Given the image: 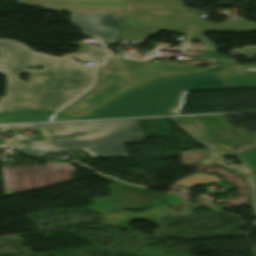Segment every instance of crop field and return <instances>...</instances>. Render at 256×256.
Returning <instances> with one entry per match:
<instances>
[{
  "label": "crop field",
  "mask_w": 256,
  "mask_h": 256,
  "mask_svg": "<svg viewBox=\"0 0 256 256\" xmlns=\"http://www.w3.org/2000/svg\"><path fill=\"white\" fill-rule=\"evenodd\" d=\"M76 54L52 57L33 52L24 44L10 39L0 40V74H6V96L0 98V113L23 110H57L89 88L93 82L94 67L76 63L78 60H97L110 53L84 43ZM22 64V66H19ZM26 64L36 69L27 70ZM45 66L42 70L37 67ZM31 73L29 82L18 79V73Z\"/></svg>",
  "instance_id": "1"
},
{
  "label": "crop field",
  "mask_w": 256,
  "mask_h": 256,
  "mask_svg": "<svg viewBox=\"0 0 256 256\" xmlns=\"http://www.w3.org/2000/svg\"><path fill=\"white\" fill-rule=\"evenodd\" d=\"M225 88L220 71L161 77L119 95L89 115L77 118L176 113L187 90Z\"/></svg>",
  "instance_id": "2"
},
{
  "label": "crop field",
  "mask_w": 256,
  "mask_h": 256,
  "mask_svg": "<svg viewBox=\"0 0 256 256\" xmlns=\"http://www.w3.org/2000/svg\"><path fill=\"white\" fill-rule=\"evenodd\" d=\"M4 127L40 128L46 139L40 142L58 151L69 149L86 151L92 155V158L127 155L124 144L144 142L135 119Z\"/></svg>",
  "instance_id": "3"
},
{
  "label": "crop field",
  "mask_w": 256,
  "mask_h": 256,
  "mask_svg": "<svg viewBox=\"0 0 256 256\" xmlns=\"http://www.w3.org/2000/svg\"><path fill=\"white\" fill-rule=\"evenodd\" d=\"M124 70V69H123ZM113 57L105 59L97 66V78L94 87L60 112L71 116L81 115L109 101L119 92L132 88L136 84L126 77L124 71Z\"/></svg>",
  "instance_id": "4"
},
{
  "label": "crop field",
  "mask_w": 256,
  "mask_h": 256,
  "mask_svg": "<svg viewBox=\"0 0 256 256\" xmlns=\"http://www.w3.org/2000/svg\"><path fill=\"white\" fill-rule=\"evenodd\" d=\"M70 19L81 28V31L98 37L107 44L117 41V35L125 28L124 17L117 15L72 14ZM87 24L93 29L87 27Z\"/></svg>",
  "instance_id": "5"
},
{
  "label": "crop field",
  "mask_w": 256,
  "mask_h": 256,
  "mask_svg": "<svg viewBox=\"0 0 256 256\" xmlns=\"http://www.w3.org/2000/svg\"><path fill=\"white\" fill-rule=\"evenodd\" d=\"M227 154L240 159L243 162V164L241 166H235L234 164L225 166L223 157ZM206 156H208V157L206 158V160L203 163H218V164H221V165L227 167L231 171L245 177L247 179L248 183H250L252 186V193H251L250 201H251V203H256L255 176H254L253 172L251 171V169L248 167V165L244 162V160L240 156L224 152L220 149L208 150V153Z\"/></svg>",
  "instance_id": "6"
},
{
  "label": "crop field",
  "mask_w": 256,
  "mask_h": 256,
  "mask_svg": "<svg viewBox=\"0 0 256 256\" xmlns=\"http://www.w3.org/2000/svg\"><path fill=\"white\" fill-rule=\"evenodd\" d=\"M226 88L256 87V69L223 70Z\"/></svg>",
  "instance_id": "7"
},
{
  "label": "crop field",
  "mask_w": 256,
  "mask_h": 256,
  "mask_svg": "<svg viewBox=\"0 0 256 256\" xmlns=\"http://www.w3.org/2000/svg\"><path fill=\"white\" fill-rule=\"evenodd\" d=\"M17 140L18 142L2 144L0 147L14 148L28 156H40L46 152L53 151L23 137L17 138Z\"/></svg>",
  "instance_id": "8"
},
{
  "label": "crop field",
  "mask_w": 256,
  "mask_h": 256,
  "mask_svg": "<svg viewBox=\"0 0 256 256\" xmlns=\"http://www.w3.org/2000/svg\"><path fill=\"white\" fill-rule=\"evenodd\" d=\"M53 113L41 111H24L12 113V123L50 121Z\"/></svg>",
  "instance_id": "9"
},
{
  "label": "crop field",
  "mask_w": 256,
  "mask_h": 256,
  "mask_svg": "<svg viewBox=\"0 0 256 256\" xmlns=\"http://www.w3.org/2000/svg\"><path fill=\"white\" fill-rule=\"evenodd\" d=\"M204 173L205 174H202V172H200L198 174L189 175L174 184L190 187L198 184L220 181L217 178L218 173H215L216 174L215 176L213 175L214 173H211V172H204ZM208 173H211V175H208Z\"/></svg>",
  "instance_id": "10"
},
{
  "label": "crop field",
  "mask_w": 256,
  "mask_h": 256,
  "mask_svg": "<svg viewBox=\"0 0 256 256\" xmlns=\"http://www.w3.org/2000/svg\"><path fill=\"white\" fill-rule=\"evenodd\" d=\"M173 121H175L179 126H181L184 130H186L194 139L199 141L206 148L208 149L215 148V146L209 140H207L200 132H198L192 125H190L183 118H173Z\"/></svg>",
  "instance_id": "11"
},
{
  "label": "crop field",
  "mask_w": 256,
  "mask_h": 256,
  "mask_svg": "<svg viewBox=\"0 0 256 256\" xmlns=\"http://www.w3.org/2000/svg\"><path fill=\"white\" fill-rule=\"evenodd\" d=\"M238 155H241L242 157H244V159L250 164V166L253 168V170L256 173V153L246 151Z\"/></svg>",
  "instance_id": "12"
},
{
  "label": "crop field",
  "mask_w": 256,
  "mask_h": 256,
  "mask_svg": "<svg viewBox=\"0 0 256 256\" xmlns=\"http://www.w3.org/2000/svg\"><path fill=\"white\" fill-rule=\"evenodd\" d=\"M63 120H74V118L64 114H60V113H57L53 118V121H63Z\"/></svg>",
  "instance_id": "13"
},
{
  "label": "crop field",
  "mask_w": 256,
  "mask_h": 256,
  "mask_svg": "<svg viewBox=\"0 0 256 256\" xmlns=\"http://www.w3.org/2000/svg\"><path fill=\"white\" fill-rule=\"evenodd\" d=\"M11 122V113L0 114V123Z\"/></svg>",
  "instance_id": "14"
},
{
  "label": "crop field",
  "mask_w": 256,
  "mask_h": 256,
  "mask_svg": "<svg viewBox=\"0 0 256 256\" xmlns=\"http://www.w3.org/2000/svg\"><path fill=\"white\" fill-rule=\"evenodd\" d=\"M192 54H196V53H189V52H185L184 53V55H192ZM199 55H202V54H199ZM205 56H208V55H205ZM210 57H212V56H210ZM214 58H216V57H214ZM219 59V58H218ZM234 63V62H233Z\"/></svg>",
  "instance_id": "15"
},
{
  "label": "crop field",
  "mask_w": 256,
  "mask_h": 256,
  "mask_svg": "<svg viewBox=\"0 0 256 256\" xmlns=\"http://www.w3.org/2000/svg\"><path fill=\"white\" fill-rule=\"evenodd\" d=\"M254 209V215L256 216V206H253ZM252 225H256V222L252 223Z\"/></svg>",
  "instance_id": "16"
},
{
  "label": "crop field",
  "mask_w": 256,
  "mask_h": 256,
  "mask_svg": "<svg viewBox=\"0 0 256 256\" xmlns=\"http://www.w3.org/2000/svg\"><path fill=\"white\" fill-rule=\"evenodd\" d=\"M249 151L256 152V148H254V149H252V150H249Z\"/></svg>",
  "instance_id": "17"
}]
</instances>
